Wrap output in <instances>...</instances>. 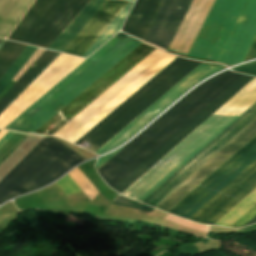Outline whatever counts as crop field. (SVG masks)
I'll return each instance as SVG.
<instances>
[{"instance_id":"9","label":"crop field","mask_w":256,"mask_h":256,"mask_svg":"<svg viewBox=\"0 0 256 256\" xmlns=\"http://www.w3.org/2000/svg\"><path fill=\"white\" fill-rule=\"evenodd\" d=\"M255 104H253L247 111H249ZM246 111V112H247ZM245 112V113H246ZM245 113H243L240 117H242ZM239 117V118H240ZM238 118V119H239ZM237 119V120H238ZM256 119V106H254L249 112H247L242 118H240L238 121L235 120L232 124L236 123L234 125L228 126L225 130L229 129L227 131L221 132L218 136L222 135L220 137L214 138L211 142L215 141L212 144H207L203 149H205L208 145V147L205 150H200L196 155H198L201 151V153L198 156H193L189 161H191L194 157V159L191 162L185 163L181 168H183L186 164V166L183 169H178L174 174H176L179 170V172L176 175H171L167 180H169L172 176V178L169 181H164L160 186H162L165 182V184L162 187H157L152 193H154L158 188V190L154 194H149L145 199H147L150 195V197L147 200H142L144 203H147L153 207H155L158 203H160L166 196H168L174 189H176L181 183H183L189 176H191L197 169H199L204 163H206L212 156H214L219 150H221L227 143H229L235 136H237L242 130H244L250 123H252Z\"/></svg>"},{"instance_id":"8","label":"crop field","mask_w":256,"mask_h":256,"mask_svg":"<svg viewBox=\"0 0 256 256\" xmlns=\"http://www.w3.org/2000/svg\"><path fill=\"white\" fill-rule=\"evenodd\" d=\"M127 3L128 2L124 1L107 0L64 52L82 56ZM132 3L133 2H129L127 4L113 22L85 52L83 57L90 55L94 50L119 31Z\"/></svg>"},{"instance_id":"12","label":"crop field","mask_w":256,"mask_h":256,"mask_svg":"<svg viewBox=\"0 0 256 256\" xmlns=\"http://www.w3.org/2000/svg\"><path fill=\"white\" fill-rule=\"evenodd\" d=\"M255 134L256 120L237 137H235L229 144H227L221 151H219L214 157L212 156L213 158H211L199 170L197 169L198 171H196L191 177L189 176L190 178H188L176 190L174 189L175 191H173L168 197L166 196L167 198H165L160 204L158 203L159 205H157L156 208L167 212Z\"/></svg>"},{"instance_id":"20","label":"crop field","mask_w":256,"mask_h":256,"mask_svg":"<svg viewBox=\"0 0 256 256\" xmlns=\"http://www.w3.org/2000/svg\"><path fill=\"white\" fill-rule=\"evenodd\" d=\"M105 1L89 0L48 48L63 52Z\"/></svg>"},{"instance_id":"14","label":"crop field","mask_w":256,"mask_h":256,"mask_svg":"<svg viewBox=\"0 0 256 256\" xmlns=\"http://www.w3.org/2000/svg\"><path fill=\"white\" fill-rule=\"evenodd\" d=\"M192 0H163L144 40L168 49Z\"/></svg>"},{"instance_id":"35","label":"crop field","mask_w":256,"mask_h":256,"mask_svg":"<svg viewBox=\"0 0 256 256\" xmlns=\"http://www.w3.org/2000/svg\"><path fill=\"white\" fill-rule=\"evenodd\" d=\"M5 42L4 39H0V47L2 46V44Z\"/></svg>"},{"instance_id":"33","label":"crop field","mask_w":256,"mask_h":256,"mask_svg":"<svg viewBox=\"0 0 256 256\" xmlns=\"http://www.w3.org/2000/svg\"><path fill=\"white\" fill-rule=\"evenodd\" d=\"M253 58H256V39H255V41H254L246 59L244 61L249 60V59H253Z\"/></svg>"},{"instance_id":"13","label":"crop field","mask_w":256,"mask_h":256,"mask_svg":"<svg viewBox=\"0 0 256 256\" xmlns=\"http://www.w3.org/2000/svg\"><path fill=\"white\" fill-rule=\"evenodd\" d=\"M256 36V0H248L230 33L217 62L233 65L243 62Z\"/></svg>"},{"instance_id":"30","label":"crop field","mask_w":256,"mask_h":256,"mask_svg":"<svg viewBox=\"0 0 256 256\" xmlns=\"http://www.w3.org/2000/svg\"><path fill=\"white\" fill-rule=\"evenodd\" d=\"M232 69L238 72L256 76V61Z\"/></svg>"},{"instance_id":"11","label":"crop field","mask_w":256,"mask_h":256,"mask_svg":"<svg viewBox=\"0 0 256 256\" xmlns=\"http://www.w3.org/2000/svg\"><path fill=\"white\" fill-rule=\"evenodd\" d=\"M256 187V161L222 189L189 220L213 224ZM216 223V222H215Z\"/></svg>"},{"instance_id":"18","label":"crop field","mask_w":256,"mask_h":256,"mask_svg":"<svg viewBox=\"0 0 256 256\" xmlns=\"http://www.w3.org/2000/svg\"><path fill=\"white\" fill-rule=\"evenodd\" d=\"M87 1L65 0L30 44L47 48Z\"/></svg>"},{"instance_id":"25","label":"crop field","mask_w":256,"mask_h":256,"mask_svg":"<svg viewBox=\"0 0 256 256\" xmlns=\"http://www.w3.org/2000/svg\"><path fill=\"white\" fill-rule=\"evenodd\" d=\"M26 45L6 40L0 48V77L24 50Z\"/></svg>"},{"instance_id":"22","label":"crop field","mask_w":256,"mask_h":256,"mask_svg":"<svg viewBox=\"0 0 256 256\" xmlns=\"http://www.w3.org/2000/svg\"><path fill=\"white\" fill-rule=\"evenodd\" d=\"M34 0H0V37L7 39Z\"/></svg>"},{"instance_id":"28","label":"crop field","mask_w":256,"mask_h":256,"mask_svg":"<svg viewBox=\"0 0 256 256\" xmlns=\"http://www.w3.org/2000/svg\"><path fill=\"white\" fill-rule=\"evenodd\" d=\"M112 203L121 205V206H125V207H129V208L142 209V210H145L148 212H151L153 210V208H151V207L143 205L137 201L131 200L124 196L117 197L114 201H112Z\"/></svg>"},{"instance_id":"24","label":"crop field","mask_w":256,"mask_h":256,"mask_svg":"<svg viewBox=\"0 0 256 256\" xmlns=\"http://www.w3.org/2000/svg\"><path fill=\"white\" fill-rule=\"evenodd\" d=\"M256 203V188L252 190L246 197L230 209L224 216H222L216 223L217 225L230 226L241 215H243L249 208Z\"/></svg>"},{"instance_id":"32","label":"crop field","mask_w":256,"mask_h":256,"mask_svg":"<svg viewBox=\"0 0 256 256\" xmlns=\"http://www.w3.org/2000/svg\"><path fill=\"white\" fill-rule=\"evenodd\" d=\"M125 146V145H124ZM123 146V147H124ZM123 147H121V148H123ZM120 148V149H121ZM119 149V150H120ZM119 150H117V151H115V152H113V153H111V154H108V155H106V156H103V157H101V158H99L98 159V161H97V163H96V165H95V167H96V169L98 168V167H100L103 163H105L109 158H111L115 153H117Z\"/></svg>"},{"instance_id":"1","label":"crop field","mask_w":256,"mask_h":256,"mask_svg":"<svg viewBox=\"0 0 256 256\" xmlns=\"http://www.w3.org/2000/svg\"><path fill=\"white\" fill-rule=\"evenodd\" d=\"M241 76L242 74L225 71L193 89L133 141L98 168V173L111 187L116 185ZM252 79L253 77L245 75L239 78L112 189L120 193L125 190Z\"/></svg>"},{"instance_id":"29","label":"crop field","mask_w":256,"mask_h":256,"mask_svg":"<svg viewBox=\"0 0 256 256\" xmlns=\"http://www.w3.org/2000/svg\"><path fill=\"white\" fill-rule=\"evenodd\" d=\"M256 214V206H253L249 211H247L242 217H240L234 224H232V227L239 228L241 227L244 223H246L252 216ZM256 222V215L251 218L245 225L255 223Z\"/></svg>"},{"instance_id":"6","label":"crop field","mask_w":256,"mask_h":256,"mask_svg":"<svg viewBox=\"0 0 256 256\" xmlns=\"http://www.w3.org/2000/svg\"><path fill=\"white\" fill-rule=\"evenodd\" d=\"M153 50L155 48L142 42L34 133L49 135L55 133ZM52 123L55 125L46 131L45 129Z\"/></svg>"},{"instance_id":"17","label":"crop field","mask_w":256,"mask_h":256,"mask_svg":"<svg viewBox=\"0 0 256 256\" xmlns=\"http://www.w3.org/2000/svg\"><path fill=\"white\" fill-rule=\"evenodd\" d=\"M214 0H193L170 47L188 53Z\"/></svg>"},{"instance_id":"31","label":"crop field","mask_w":256,"mask_h":256,"mask_svg":"<svg viewBox=\"0 0 256 256\" xmlns=\"http://www.w3.org/2000/svg\"><path fill=\"white\" fill-rule=\"evenodd\" d=\"M167 220H170V221H173V222H176V223H179V224H183V225H186V226H189V227H192V228H195V229H199V230L206 231V229H207V226L198 225V224H195V223H192V222H189V221H186V220H182V219L170 216V215H168Z\"/></svg>"},{"instance_id":"23","label":"crop field","mask_w":256,"mask_h":256,"mask_svg":"<svg viewBox=\"0 0 256 256\" xmlns=\"http://www.w3.org/2000/svg\"><path fill=\"white\" fill-rule=\"evenodd\" d=\"M255 142H256V135L250 141H248L242 148H240L234 155H232L226 162H224L218 169H216L211 175H209L203 182H201L195 189H193L187 196H185L179 203H177L171 210H169L168 213L174 214L176 211H178L184 204H186L192 197H194L216 176H218L223 170H225L231 163H233Z\"/></svg>"},{"instance_id":"19","label":"crop field","mask_w":256,"mask_h":256,"mask_svg":"<svg viewBox=\"0 0 256 256\" xmlns=\"http://www.w3.org/2000/svg\"><path fill=\"white\" fill-rule=\"evenodd\" d=\"M60 54L45 50L0 99V113L25 90Z\"/></svg>"},{"instance_id":"10","label":"crop field","mask_w":256,"mask_h":256,"mask_svg":"<svg viewBox=\"0 0 256 256\" xmlns=\"http://www.w3.org/2000/svg\"><path fill=\"white\" fill-rule=\"evenodd\" d=\"M225 67L214 64L201 63L103 146H101L95 153L101 154L109 151L116 146L124 143L138 130H140L147 122L155 117L159 112L173 103L182 93L190 89L193 85L197 84L207 76L214 74ZM148 124V123H147Z\"/></svg>"},{"instance_id":"34","label":"crop field","mask_w":256,"mask_h":256,"mask_svg":"<svg viewBox=\"0 0 256 256\" xmlns=\"http://www.w3.org/2000/svg\"><path fill=\"white\" fill-rule=\"evenodd\" d=\"M14 133L8 132L1 140L0 147L13 135Z\"/></svg>"},{"instance_id":"3","label":"crop field","mask_w":256,"mask_h":256,"mask_svg":"<svg viewBox=\"0 0 256 256\" xmlns=\"http://www.w3.org/2000/svg\"><path fill=\"white\" fill-rule=\"evenodd\" d=\"M255 101L256 78L250 81L213 114L239 116ZM235 118L237 117L211 115L197 129H195L189 136H187L181 143L163 157L161 159L162 162L160 163L159 161L157 163H160L159 165L155 164L125 191H123L122 194L127 192L157 165L151 172H149L143 179L124 194L125 196L141 201L197 151L206 145L212 138L221 132L227 125H229Z\"/></svg>"},{"instance_id":"7","label":"crop field","mask_w":256,"mask_h":256,"mask_svg":"<svg viewBox=\"0 0 256 256\" xmlns=\"http://www.w3.org/2000/svg\"><path fill=\"white\" fill-rule=\"evenodd\" d=\"M246 0H215L188 56L216 61Z\"/></svg>"},{"instance_id":"26","label":"crop field","mask_w":256,"mask_h":256,"mask_svg":"<svg viewBox=\"0 0 256 256\" xmlns=\"http://www.w3.org/2000/svg\"><path fill=\"white\" fill-rule=\"evenodd\" d=\"M36 49V47L27 46L21 55L16 59V61L11 65V67L6 71V73L1 77L0 93L16 75V73L21 69V67L26 63V61L31 57V55L36 51Z\"/></svg>"},{"instance_id":"15","label":"crop field","mask_w":256,"mask_h":256,"mask_svg":"<svg viewBox=\"0 0 256 256\" xmlns=\"http://www.w3.org/2000/svg\"><path fill=\"white\" fill-rule=\"evenodd\" d=\"M255 153L256 143L241 157H239L233 164H231L225 171H223L218 177H216L210 184H208L202 191H200L194 198H192L186 205H184L178 212H176L175 215H179L182 217L184 214H186L192 207H194L199 201H201L207 194H209L214 188H216L222 181H224L229 175H231L237 168H239ZM255 160L256 154L251 157L246 163H244L239 169H237L224 182H222L209 195H207L194 208H192L186 215H184L183 218L188 219L191 215H193L199 208H201L206 202H208L214 195H216L222 188H224L230 181H232Z\"/></svg>"},{"instance_id":"21","label":"crop field","mask_w":256,"mask_h":256,"mask_svg":"<svg viewBox=\"0 0 256 256\" xmlns=\"http://www.w3.org/2000/svg\"><path fill=\"white\" fill-rule=\"evenodd\" d=\"M161 0H136L122 31L143 38Z\"/></svg>"},{"instance_id":"16","label":"crop field","mask_w":256,"mask_h":256,"mask_svg":"<svg viewBox=\"0 0 256 256\" xmlns=\"http://www.w3.org/2000/svg\"><path fill=\"white\" fill-rule=\"evenodd\" d=\"M64 0H35L9 40L29 44Z\"/></svg>"},{"instance_id":"2","label":"crop field","mask_w":256,"mask_h":256,"mask_svg":"<svg viewBox=\"0 0 256 256\" xmlns=\"http://www.w3.org/2000/svg\"><path fill=\"white\" fill-rule=\"evenodd\" d=\"M140 43L129 36L123 40L114 36L4 128L33 133Z\"/></svg>"},{"instance_id":"4","label":"crop field","mask_w":256,"mask_h":256,"mask_svg":"<svg viewBox=\"0 0 256 256\" xmlns=\"http://www.w3.org/2000/svg\"><path fill=\"white\" fill-rule=\"evenodd\" d=\"M86 160L53 137H45L0 181V203L40 188Z\"/></svg>"},{"instance_id":"27","label":"crop field","mask_w":256,"mask_h":256,"mask_svg":"<svg viewBox=\"0 0 256 256\" xmlns=\"http://www.w3.org/2000/svg\"><path fill=\"white\" fill-rule=\"evenodd\" d=\"M55 183L66 196L81 192L80 188L75 184L68 174Z\"/></svg>"},{"instance_id":"5","label":"crop field","mask_w":256,"mask_h":256,"mask_svg":"<svg viewBox=\"0 0 256 256\" xmlns=\"http://www.w3.org/2000/svg\"><path fill=\"white\" fill-rule=\"evenodd\" d=\"M198 64L200 63L177 57L75 144L86 139L101 146Z\"/></svg>"}]
</instances>
